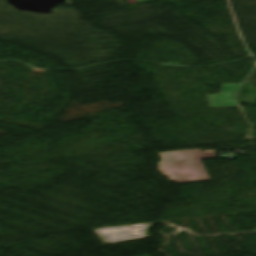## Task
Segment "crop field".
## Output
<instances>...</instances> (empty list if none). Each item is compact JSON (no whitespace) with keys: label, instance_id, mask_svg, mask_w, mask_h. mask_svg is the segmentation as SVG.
I'll return each mask as SVG.
<instances>
[{"label":"crop field","instance_id":"obj_2","mask_svg":"<svg viewBox=\"0 0 256 256\" xmlns=\"http://www.w3.org/2000/svg\"><path fill=\"white\" fill-rule=\"evenodd\" d=\"M142 1H154V0H137V2H142Z\"/></svg>","mask_w":256,"mask_h":256},{"label":"crop field","instance_id":"obj_1","mask_svg":"<svg viewBox=\"0 0 256 256\" xmlns=\"http://www.w3.org/2000/svg\"><path fill=\"white\" fill-rule=\"evenodd\" d=\"M240 84L222 85L221 94H210L209 102L211 107L237 106L234 95Z\"/></svg>","mask_w":256,"mask_h":256}]
</instances>
